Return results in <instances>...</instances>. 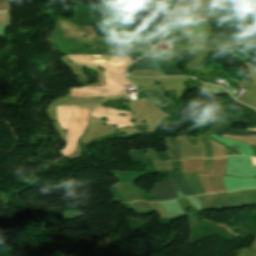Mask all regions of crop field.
<instances>
[{
    "label": "crop field",
    "mask_w": 256,
    "mask_h": 256,
    "mask_svg": "<svg viewBox=\"0 0 256 256\" xmlns=\"http://www.w3.org/2000/svg\"><path fill=\"white\" fill-rule=\"evenodd\" d=\"M157 200H170L184 196L171 181L155 184V190L150 191Z\"/></svg>",
    "instance_id": "5"
},
{
    "label": "crop field",
    "mask_w": 256,
    "mask_h": 256,
    "mask_svg": "<svg viewBox=\"0 0 256 256\" xmlns=\"http://www.w3.org/2000/svg\"><path fill=\"white\" fill-rule=\"evenodd\" d=\"M246 106L236 102L229 95L228 98H222L218 103H216L213 108L206 112L205 115L200 118L197 124H206L211 119L216 117H221L223 121H228L231 117L237 114L239 111L244 109Z\"/></svg>",
    "instance_id": "2"
},
{
    "label": "crop field",
    "mask_w": 256,
    "mask_h": 256,
    "mask_svg": "<svg viewBox=\"0 0 256 256\" xmlns=\"http://www.w3.org/2000/svg\"><path fill=\"white\" fill-rule=\"evenodd\" d=\"M218 29L209 37L207 41L215 46H221L237 38L246 36L256 28L255 25H242L220 21Z\"/></svg>",
    "instance_id": "1"
},
{
    "label": "crop field",
    "mask_w": 256,
    "mask_h": 256,
    "mask_svg": "<svg viewBox=\"0 0 256 256\" xmlns=\"http://www.w3.org/2000/svg\"><path fill=\"white\" fill-rule=\"evenodd\" d=\"M223 133L230 134V135H256V131H240V130H232L226 127L218 130L214 134L222 136Z\"/></svg>",
    "instance_id": "11"
},
{
    "label": "crop field",
    "mask_w": 256,
    "mask_h": 256,
    "mask_svg": "<svg viewBox=\"0 0 256 256\" xmlns=\"http://www.w3.org/2000/svg\"><path fill=\"white\" fill-rule=\"evenodd\" d=\"M241 120H245L246 123H249L251 125H256V110L250 112L249 114L245 115L243 118L237 120L238 123Z\"/></svg>",
    "instance_id": "12"
},
{
    "label": "crop field",
    "mask_w": 256,
    "mask_h": 256,
    "mask_svg": "<svg viewBox=\"0 0 256 256\" xmlns=\"http://www.w3.org/2000/svg\"><path fill=\"white\" fill-rule=\"evenodd\" d=\"M158 64L165 65L166 68L165 70H161L158 67ZM134 69H153V70H161L163 73H165L168 76H173V75H183L182 72H180L175 66H172L168 63L165 62H159L156 60H150V59H143L140 60L133 65H131L128 69V72L134 70Z\"/></svg>",
    "instance_id": "4"
},
{
    "label": "crop field",
    "mask_w": 256,
    "mask_h": 256,
    "mask_svg": "<svg viewBox=\"0 0 256 256\" xmlns=\"http://www.w3.org/2000/svg\"><path fill=\"white\" fill-rule=\"evenodd\" d=\"M255 177V176H254Z\"/></svg>",
    "instance_id": "15"
},
{
    "label": "crop field",
    "mask_w": 256,
    "mask_h": 256,
    "mask_svg": "<svg viewBox=\"0 0 256 256\" xmlns=\"http://www.w3.org/2000/svg\"><path fill=\"white\" fill-rule=\"evenodd\" d=\"M1 2H10V0H0V3Z\"/></svg>",
    "instance_id": "14"
},
{
    "label": "crop field",
    "mask_w": 256,
    "mask_h": 256,
    "mask_svg": "<svg viewBox=\"0 0 256 256\" xmlns=\"http://www.w3.org/2000/svg\"><path fill=\"white\" fill-rule=\"evenodd\" d=\"M169 156L171 160H181L180 143L178 138L173 139L171 136L165 139Z\"/></svg>",
    "instance_id": "7"
},
{
    "label": "crop field",
    "mask_w": 256,
    "mask_h": 256,
    "mask_svg": "<svg viewBox=\"0 0 256 256\" xmlns=\"http://www.w3.org/2000/svg\"><path fill=\"white\" fill-rule=\"evenodd\" d=\"M170 180L173 182V184L179 188L186 196H193L195 195L193 191L188 187V185L185 183L182 175H175L169 177Z\"/></svg>",
    "instance_id": "8"
},
{
    "label": "crop field",
    "mask_w": 256,
    "mask_h": 256,
    "mask_svg": "<svg viewBox=\"0 0 256 256\" xmlns=\"http://www.w3.org/2000/svg\"><path fill=\"white\" fill-rule=\"evenodd\" d=\"M79 42L89 43L93 48H115L116 45L121 47L131 48L135 47L134 50H142L145 52L149 43L135 39L133 37L124 36V38H114V36H109L106 38H97V39H76Z\"/></svg>",
    "instance_id": "3"
},
{
    "label": "crop field",
    "mask_w": 256,
    "mask_h": 256,
    "mask_svg": "<svg viewBox=\"0 0 256 256\" xmlns=\"http://www.w3.org/2000/svg\"><path fill=\"white\" fill-rule=\"evenodd\" d=\"M149 16L152 18L156 19L160 23L166 26L167 20H168V14H165L163 12V9L160 8H152L148 13Z\"/></svg>",
    "instance_id": "10"
},
{
    "label": "crop field",
    "mask_w": 256,
    "mask_h": 256,
    "mask_svg": "<svg viewBox=\"0 0 256 256\" xmlns=\"http://www.w3.org/2000/svg\"><path fill=\"white\" fill-rule=\"evenodd\" d=\"M220 19H223V18H220ZM223 20L237 21V20H230V19H223ZM237 22H244V21H237ZM244 23H247V22H244Z\"/></svg>",
    "instance_id": "13"
},
{
    "label": "crop field",
    "mask_w": 256,
    "mask_h": 256,
    "mask_svg": "<svg viewBox=\"0 0 256 256\" xmlns=\"http://www.w3.org/2000/svg\"><path fill=\"white\" fill-rule=\"evenodd\" d=\"M178 0H139L140 4H151V5H161V6H168L173 7ZM141 6H150V5H141ZM155 6V7H161ZM162 7V8H168ZM169 8V9H171Z\"/></svg>",
    "instance_id": "9"
},
{
    "label": "crop field",
    "mask_w": 256,
    "mask_h": 256,
    "mask_svg": "<svg viewBox=\"0 0 256 256\" xmlns=\"http://www.w3.org/2000/svg\"><path fill=\"white\" fill-rule=\"evenodd\" d=\"M144 93V95L153 103L155 104L158 108H161L167 104H169L170 102H172V100L166 98L163 96V94L165 92H167L163 86L161 87H157V88H153V89H148V90H144L142 91ZM155 100H157L158 102H154Z\"/></svg>",
    "instance_id": "6"
}]
</instances>
